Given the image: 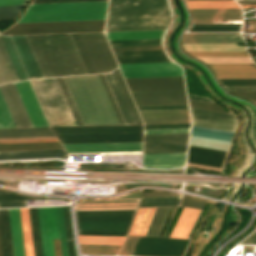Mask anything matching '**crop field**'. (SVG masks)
<instances>
[{"instance_id":"obj_1","label":"crop field","mask_w":256,"mask_h":256,"mask_svg":"<svg viewBox=\"0 0 256 256\" xmlns=\"http://www.w3.org/2000/svg\"><path fill=\"white\" fill-rule=\"evenodd\" d=\"M167 0H109L105 31L168 29Z\"/></svg>"},{"instance_id":"obj_2","label":"crop field","mask_w":256,"mask_h":256,"mask_svg":"<svg viewBox=\"0 0 256 256\" xmlns=\"http://www.w3.org/2000/svg\"><path fill=\"white\" fill-rule=\"evenodd\" d=\"M108 1L30 4L17 23L104 19Z\"/></svg>"},{"instance_id":"obj_3","label":"crop field","mask_w":256,"mask_h":256,"mask_svg":"<svg viewBox=\"0 0 256 256\" xmlns=\"http://www.w3.org/2000/svg\"><path fill=\"white\" fill-rule=\"evenodd\" d=\"M50 128L61 143L142 142V126Z\"/></svg>"},{"instance_id":"obj_4","label":"crop field","mask_w":256,"mask_h":256,"mask_svg":"<svg viewBox=\"0 0 256 256\" xmlns=\"http://www.w3.org/2000/svg\"><path fill=\"white\" fill-rule=\"evenodd\" d=\"M135 211L75 212L78 235L126 236Z\"/></svg>"},{"instance_id":"obj_5","label":"crop field","mask_w":256,"mask_h":256,"mask_svg":"<svg viewBox=\"0 0 256 256\" xmlns=\"http://www.w3.org/2000/svg\"><path fill=\"white\" fill-rule=\"evenodd\" d=\"M104 20L14 24L1 34L103 31Z\"/></svg>"},{"instance_id":"obj_6","label":"crop field","mask_w":256,"mask_h":256,"mask_svg":"<svg viewBox=\"0 0 256 256\" xmlns=\"http://www.w3.org/2000/svg\"><path fill=\"white\" fill-rule=\"evenodd\" d=\"M96 73L109 72L117 68L103 33L78 34Z\"/></svg>"},{"instance_id":"obj_7","label":"crop field","mask_w":256,"mask_h":256,"mask_svg":"<svg viewBox=\"0 0 256 256\" xmlns=\"http://www.w3.org/2000/svg\"><path fill=\"white\" fill-rule=\"evenodd\" d=\"M124 78L182 76L173 62L118 64Z\"/></svg>"},{"instance_id":"obj_8","label":"crop field","mask_w":256,"mask_h":256,"mask_svg":"<svg viewBox=\"0 0 256 256\" xmlns=\"http://www.w3.org/2000/svg\"><path fill=\"white\" fill-rule=\"evenodd\" d=\"M192 125L234 132L237 123L233 114L191 108Z\"/></svg>"},{"instance_id":"obj_9","label":"crop field","mask_w":256,"mask_h":256,"mask_svg":"<svg viewBox=\"0 0 256 256\" xmlns=\"http://www.w3.org/2000/svg\"><path fill=\"white\" fill-rule=\"evenodd\" d=\"M234 133L192 126L189 144L228 150Z\"/></svg>"},{"instance_id":"obj_10","label":"crop field","mask_w":256,"mask_h":256,"mask_svg":"<svg viewBox=\"0 0 256 256\" xmlns=\"http://www.w3.org/2000/svg\"><path fill=\"white\" fill-rule=\"evenodd\" d=\"M130 94L136 106L187 104L185 91Z\"/></svg>"},{"instance_id":"obj_11","label":"crop field","mask_w":256,"mask_h":256,"mask_svg":"<svg viewBox=\"0 0 256 256\" xmlns=\"http://www.w3.org/2000/svg\"><path fill=\"white\" fill-rule=\"evenodd\" d=\"M33 127L47 126L28 80L14 83Z\"/></svg>"},{"instance_id":"obj_12","label":"crop field","mask_w":256,"mask_h":256,"mask_svg":"<svg viewBox=\"0 0 256 256\" xmlns=\"http://www.w3.org/2000/svg\"><path fill=\"white\" fill-rule=\"evenodd\" d=\"M67 152L141 151L142 143L62 144Z\"/></svg>"},{"instance_id":"obj_13","label":"crop field","mask_w":256,"mask_h":256,"mask_svg":"<svg viewBox=\"0 0 256 256\" xmlns=\"http://www.w3.org/2000/svg\"><path fill=\"white\" fill-rule=\"evenodd\" d=\"M217 78H256L254 64H208Z\"/></svg>"},{"instance_id":"obj_14","label":"crop field","mask_w":256,"mask_h":256,"mask_svg":"<svg viewBox=\"0 0 256 256\" xmlns=\"http://www.w3.org/2000/svg\"><path fill=\"white\" fill-rule=\"evenodd\" d=\"M182 43H244L239 33H187Z\"/></svg>"},{"instance_id":"obj_15","label":"crop field","mask_w":256,"mask_h":256,"mask_svg":"<svg viewBox=\"0 0 256 256\" xmlns=\"http://www.w3.org/2000/svg\"><path fill=\"white\" fill-rule=\"evenodd\" d=\"M186 153L143 155V168L183 167Z\"/></svg>"},{"instance_id":"obj_16","label":"crop field","mask_w":256,"mask_h":256,"mask_svg":"<svg viewBox=\"0 0 256 256\" xmlns=\"http://www.w3.org/2000/svg\"><path fill=\"white\" fill-rule=\"evenodd\" d=\"M144 124L190 122L188 110L139 112Z\"/></svg>"},{"instance_id":"obj_17","label":"crop field","mask_w":256,"mask_h":256,"mask_svg":"<svg viewBox=\"0 0 256 256\" xmlns=\"http://www.w3.org/2000/svg\"><path fill=\"white\" fill-rule=\"evenodd\" d=\"M29 78L42 77L24 36H11Z\"/></svg>"},{"instance_id":"obj_18","label":"crop field","mask_w":256,"mask_h":256,"mask_svg":"<svg viewBox=\"0 0 256 256\" xmlns=\"http://www.w3.org/2000/svg\"><path fill=\"white\" fill-rule=\"evenodd\" d=\"M194 20H242L240 9H190Z\"/></svg>"},{"instance_id":"obj_19","label":"crop field","mask_w":256,"mask_h":256,"mask_svg":"<svg viewBox=\"0 0 256 256\" xmlns=\"http://www.w3.org/2000/svg\"><path fill=\"white\" fill-rule=\"evenodd\" d=\"M125 124H135L113 73L103 74Z\"/></svg>"},{"instance_id":"obj_20","label":"crop field","mask_w":256,"mask_h":256,"mask_svg":"<svg viewBox=\"0 0 256 256\" xmlns=\"http://www.w3.org/2000/svg\"><path fill=\"white\" fill-rule=\"evenodd\" d=\"M14 256H24L18 209H8Z\"/></svg>"},{"instance_id":"obj_21","label":"crop field","mask_w":256,"mask_h":256,"mask_svg":"<svg viewBox=\"0 0 256 256\" xmlns=\"http://www.w3.org/2000/svg\"><path fill=\"white\" fill-rule=\"evenodd\" d=\"M156 208H139L128 236H144Z\"/></svg>"},{"instance_id":"obj_22","label":"crop field","mask_w":256,"mask_h":256,"mask_svg":"<svg viewBox=\"0 0 256 256\" xmlns=\"http://www.w3.org/2000/svg\"><path fill=\"white\" fill-rule=\"evenodd\" d=\"M49 256H54L52 239H59L55 207L43 208Z\"/></svg>"},{"instance_id":"obj_23","label":"crop field","mask_w":256,"mask_h":256,"mask_svg":"<svg viewBox=\"0 0 256 256\" xmlns=\"http://www.w3.org/2000/svg\"><path fill=\"white\" fill-rule=\"evenodd\" d=\"M0 240L2 256H13L7 209L0 210Z\"/></svg>"},{"instance_id":"obj_24","label":"crop field","mask_w":256,"mask_h":256,"mask_svg":"<svg viewBox=\"0 0 256 256\" xmlns=\"http://www.w3.org/2000/svg\"><path fill=\"white\" fill-rule=\"evenodd\" d=\"M198 212L199 210L185 208L171 237L186 238Z\"/></svg>"},{"instance_id":"obj_25","label":"crop field","mask_w":256,"mask_h":256,"mask_svg":"<svg viewBox=\"0 0 256 256\" xmlns=\"http://www.w3.org/2000/svg\"><path fill=\"white\" fill-rule=\"evenodd\" d=\"M53 136L49 127L30 129H0V138Z\"/></svg>"},{"instance_id":"obj_26","label":"crop field","mask_w":256,"mask_h":256,"mask_svg":"<svg viewBox=\"0 0 256 256\" xmlns=\"http://www.w3.org/2000/svg\"><path fill=\"white\" fill-rule=\"evenodd\" d=\"M62 149L59 142L0 144V151Z\"/></svg>"},{"instance_id":"obj_27","label":"crop field","mask_w":256,"mask_h":256,"mask_svg":"<svg viewBox=\"0 0 256 256\" xmlns=\"http://www.w3.org/2000/svg\"><path fill=\"white\" fill-rule=\"evenodd\" d=\"M166 30L105 33L108 40L162 38Z\"/></svg>"},{"instance_id":"obj_28","label":"crop field","mask_w":256,"mask_h":256,"mask_svg":"<svg viewBox=\"0 0 256 256\" xmlns=\"http://www.w3.org/2000/svg\"><path fill=\"white\" fill-rule=\"evenodd\" d=\"M185 51H247L238 44H182Z\"/></svg>"},{"instance_id":"obj_29","label":"crop field","mask_w":256,"mask_h":256,"mask_svg":"<svg viewBox=\"0 0 256 256\" xmlns=\"http://www.w3.org/2000/svg\"><path fill=\"white\" fill-rule=\"evenodd\" d=\"M18 80L0 38V84Z\"/></svg>"},{"instance_id":"obj_30","label":"crop field","mask_w":256,"mask_h":256,"mask_svg":"<svg viewBox=\"0 0 256 256\" xmlns=\"http://www.w3.org/2000/svg\"><path fill=\"white\" fill-rule=\"evenodd\" d=\"M34 256H42L37 208H28Z\"/></svg>"},{"instance_id":"obj_31","label":"crop field","mask_w":256,"mask_h":256,"mask_svg":"<svg viewBox=\"0 0 256 256\" xmlns=\"http://www.w3.org/2000/svg\"><path fill=\"white\" fill-rule=\"evenodd\" d=\"M25 256H33L28 211L27 208L19 209Z\"/></svg>"},{"instance_id":"obj_32","label":"crop field","mask_w":256,"mask_h":256,"mask_svg":"<svg viewBox=\"0 0 256 256\" xmlns=\"http://www.w3.org/2000/svg\"><path fill=\"white\" fill-rule=\"evenodd\" d=\"M19 80L27 79L9 36H1Z\"/></svg>"},{"instance_id":"obj_33","label":"crop field","mask_w":256,"mask_h":256,"mask_svg":"<svg viewBox=\"0 0 256 256\" xmlns=\"http://www.w3.org/2000/svg\"><path fill=\"white\" fill-rule=\"evenodd\" d=\"M189 8H239L234 0L186 1Z\"/></svg>"},{"instance_id":"obj_34","label":"crop field","mask_w":256,"mask_h":256,"mask_svg":"<svg viewBox=\"0 0 256 256\" xmlns=\"http://www.w3.org/2000/svg\"><path fill=\"white\" fill-rule=\"evenodd\" d=\"M170 207L157 208L145 236L156 237Z\"/></svg>"},{"instance_id":"obj_35","label":"crop field","mask_w":256,"mask_h":256,"mask_svg":"<svg viewBox=\"0 0 256 256\" xmlns=\"http://www.w3.org/2000/svg\"><path fill=\"white\" fill-rule=\"evenodd\" d=\"M56 79H57V81L59 83V86H60V88H61V90L63 92V95H64V97L66 99V102H67V104H68V106L70 108V111H71V113L73 115V118H74L76 124L77 125H84L82 120H81V117H80V115L78 113V110H77V108L75 106V103H74V101L72 99V96H71V94L69 92V89H68V87L66 85V82H65L64 78L63 77H59V78H56Z\"/></svg>"},{"instance_id":"obj_36","label":"crop field","mask_w":256,"mask_h":256,"mask_svg":"<svg viewBox=\"0 0 256 256\" xmlns=\"http://www.w3.org/2000/svg\"><path fill=\"white\" fill-rule=\"evenodd\" d=\"M68 157L66 152L0 155V160Z\"/></svg>"},{"instance_id":"obj_37","label":"crop field","mask_w":256,"mask_h":256,"mask_svg":"<svg viewBox=\"0 0 256 256\" xmlns=\"http://www.w3.org/2000/svg\"><path fill=\"white\" fill-rule=\"evenodd\" d=\"M125 237L78 236L79 243L122 245Z\"/></svg>"},{"instance_id":"obj_38","label":"crop field","mask_w":256,"mask_h":256,"mask_svg":"<svg viewBox=\"0 0 256 256\" xmlns=\"http://www.w3.org/2000/svg\"><path fill=\"white\" fill-rule=\"evenodd\" d=\"M136 202V200L84 201V203ZM136 205V203L80 204V206ZM135 209V207L80 208V210Z\"/></svg>"},{"instance_id":"obj_39","label":"crop field","mask_w":256,"mask_h":256,"mask_svg":"<svg viewBox=\"0 0 256 256\" xmlns=\"http://www.w3.org/2000/svg\"><path fill=\"white\" fill-rule=\"evenodd\" d=\"M180 197L141 198L140 207L179 205Z\"/></svg>"},{"instance_id":"obj_40","label":"crop field","mask_w":256,"mask_h":256,"mask_svg":"<svg viewBox=\"0 0 256 256\" xmlns=\"http://www.w3.org/2000/svg\"><path fill=\"white\" fill-rule=\"evenodd\" d=\"M111 47L162 45V39L108 41Z\"/></svg>"},{"instance_id":"obj_41","label":"crop field","mask_w":256,"mask_h":256,"mask_svg":"<svg viewBox=\"0 0 256 256\" xmlns=\"http://www.w3.org/2000/svg\"><path fill=\"white\" fill-rule=\"evenodd\" d=\"M81 253L116 254L120 246L80 244Z\"/></svg>"},{"instance_id":"obj_42","label":"crop field","mask_w":256,"mask_h":256,"mask_svg":"<svg viewBox=\"0 0 256 256\" xmlns=\"http://www.w3.org/2000/svg\"><path fill=\"white\" fill-rule=\"evenodd\" d=\"M62 256H68L62 207H56Z\"/></svg>"},{"instance_id":"obj_43","label":"crop field","mask_w":256,"mask_h":256,"mask_svg":"<svg viewBox=\"0 0 256 256\" xmlns=\"http://www.w3.org/2000/svg\"><path fill=\"white\" fill-rule=\"evenodd\" d=\"M88 74L95 73L77 34H70Z\"/></svg>"},{"instance_id":"obj_44","label":"crop field","mask_w":256,"mask_h":256,"mask_svg":"<svg viewBox=\"0 0 256 256\" xmlns=\"http://www.w3.org/2000/svg\"><path fill=\"white\" fill-rule=\"evenodd\" d=\"M0 128H16L0 93Z\"/></svg>"},{"instance_id":"obj_45","label":"crop field","mask_w":256,"mask_h":256,"mask_svg":"<svg viewBox=\"0 0 256 256\" xmlns=\"http://www.w3.org/2000/svg\"><path fill=\"white\" fill-rule=\"evenodd\" d=\"M222 86H256V79H218Z\"/></svg>"},{"instance_id":"obj_46","label":"crop field","mask_w":256,"mask_h":256,"mask_svg":"<svg viewBox=\"0 0 256 256\" xmlns=\"http://www.w3.org/2000/svg\"><path fill=\"white\" fill-rule=\"evenodd\" d=\"M188 103H189V106H192V107H198V108H203V109H209V110H215V111L228 113L227 111L223 110L221 107H219L215 103L198 101V100H191V99H188Z\"/></svg>"},{"instance_id":"obj_47","label":"crop field","mask_w":256,"mask_h":256,"mask_svg":"<svg viewBox=\"0 0 256 256\" xmlns=\"http://www.w3.org/2000/svg\"><path fill=\"white\" fill-rule=\"evenodd\" d=\"M192 56H248L247 52H187Z\"/></svg>"},{"instance_id":"obj_48","label":"crop field","mask_w":256,"mask_h":256,"mask_svg":"<svg viewBox=\"0 0 256 256\" xmlns=\"http://www.w3.org/2000/svg\"><path fill=\"white\" fill-rule=\"evenodd\" d=\"M38 212H39L43 256H48L42 208H38Z\"/></svg>"},{"instance_id":"obj_49","label":"crop field","mask_w":256,"mask_h":256,"mask_svg":"<svg viewBox=\"0 0 256 256\" xmlns=\"http://www.w3.org/2000/svg\"><path fill=\"white\" fill-rule=\"evenodd\" d=\"M138 111L188 109L187 105L137 107Z\"/></svg>"},{"instance_id":"obj_50","label":"crop field","mask_w":256,"mask_h":256,"mask_svg":"<svg viewBox=\"0 0 256 256\" xmlns=\"http://www.w3.org/2000/svg\"><path fill=\"white\" fill-rule=\"evenodd\" d=\"M138 237H127L118 255H130Z\"/></svg>"},{"instance_id":"obj_51","label":"crop field","mask_w":256,"mask_h":256,"mask_svg":"<svg viewBox=\"0 0 256 256\" xmlns=\"http://www.w3.org/2000/svg\"><path fill=\"white\" fill-rule=\"evenodd\" d=\"M204 205H205V202L201 200H195L190 197L182 196L181 206L203 209Z\"/></svg>"},{"instance_id":"obj_52","label":"crop field","mask_w":256,"mask_h":256,"mask_svg":"<svg viewBox=\"0 0 256 256\" xmlns=\"http://www.w3.org/2000/svg\"><path fill=\"white\" fill-rule=\"evenodd\" d=\"M120 125L124 124L102 74H99Z\"/></svg>"},{"instance_id":"obj_53","label":"crop field","mask_w":256,"mask_h":256,"mask_svg":"<svg viewBox=\"0 0 256 256\" xmlns=\"http://www.w3.org/2000/svg\"><path fill=\"white\" fill-rule=\"evenodd\" d=\"M231 94L245 98L249 101H256V91H229Z\"/></svg>"},{"instance_id":"obj_54","label":"crop field","mask_w":256,"mask_h":256,"mask_svg":"<svg viewBox=\"0 0 256 256\" xmlns=\"http://www.w3.org/2000/svg\"><path fill=\"white\" fill-rule=\"evenodd\" d=\"M190 124L145 126L144 130L189 128Z\"/></svg>"},{"instance_id":"obj_55","label":"crop field","mask_w":256,"mask_h":256,"mask_svg":"<svg viewBox=\"0 0 256 256\" xmlns=\"http://www.w3.org/2000/svg\"><path fill=\"white\" fill-rule=\"evenodd\" d=\"M189 31H240V27L191 28Z\"/></svg>"},{"instance_id":"obj_56","label":"crop field","mask_w":256,"mask_h":256,"mask_svg":"<svg viewBox=\"0 0 256 256\" xmlns=\"http://www.w3.org/2000/svg\"><path fill=\"white\" fill-rule=\"evenodd\" d=\"M34 198H28L23 196H18L12 193H2L0 194V201H7V200H31Z\"/></svg>"},{"instance_id":"obj_57","label":"crop field","mask_w":256,"mask_h":256,"mask_svg":"<svg viewBox=\"0 0 256 256\" xmlns=\"http://www.w3.org/2000/svg\"><path fill=\"white\" fill-rule=\"evenodd\" d=\"M67 239L72 238L68 206L63 207Z\"/></svg>"},{"instance_id":"obj_58","label":"crop field","mask_w":256,"mask_h":256,"mask_svg":"<svg viewBox=\"0 0 256 256\" xmlns=\"http://www.w3.org/2000/svg\"><path fill=\"white\" fill-rule=\"evenodd\" d=\"M112 51L163 49L162 46L111 48Z\"/></svg>"},{"instance_id":"obj_59","label":"crop field","mask_w":256,"mask_h":256,"mask_svg":"<svg viewBox=\"0 0 256 256\" xmlns=\"http://www.w3.org/2000/svg\"><path fill=\"white\" fill-rule=\"evenodd\" d=\"M23 6H24V4L12 5V6H2V7H0V13L21 11Z\"/></svg>"},{"instance_id":"obj_60","label":"crop field","mask_w":256,"mask_h":256,"mask_svg":"<svg viewBox=\"0 0 256 256\" xmlns=\"http://www.w3.org/2000/svg\"><path fill=\"white\" fill-rule=\"evenodd\" d=\"M189 132V129L144 131V134Z\"/></svg>"},{"instance_id":"obj_61","label":"crop field","mask_w":256,"mask_h":256,"mask_svg":"<svg viewBox=\"0 0 256 256\" xmlns=\"http://www.w3.org/2000/svg\"><path fill=\"white\" fill-rule=\"evenodd\" d=\"M160 196H176V195L164 193V192H143V193H141V197H160Z\"/></svg>"},{"instance_id":"obj_62","label":"crop field","mask_w":256,"mask_h":256,"mask_svg":"<svg viewBox=\"0 0 256 256\" xmlns=\"http://www.w3.org/2000/svg\"><path fill=\"white\" fill-rule=\"evenodd\" d=\"M18 14H19V12L0 14V21L14 20V18H15Z\"/></svg>"},{"instance_id":"obj_63","label":"crop field","mask_w":256,"mask_h":256,"mask_svg":"<svg viewBox=\"0 0 256 256\" xmlns=\"http://www.w3.org/2000/svg\"><path fill=\"white\" fill-rule=\"evenodd\" d=\"M27 0H0V6L26 3Z\"/></svg>"},{"instance_id":"obj_64","label":"crop field","mask_w":256,"mask_h":256,"mask_svg":"<svg viewBox=\"0 0 256 256\" xmlns=\"http://www.w3.org/2000/svg\"><path fill=\"white\" fill-rule=\"evenodd\" d=\"M69 1H95V0H33L32 3H43V2H69Z\"/></svg>"},{"instance_id":"obj_65","label":"crop field","mask_w":256,"mask_h":256,"mask_svg":"<svg viewBox=\"0 0 256 256\" xmlns=\"http://www.w3.org/2000/svg\"><path fill=\"white\" fill-rule=\"evenodd\" d=\"M241 243H254L256 244V231L251 234L249 237H247L245 240H243Z\"/></svg>"},{"instance_id":"obj_66","label":"crop field","mask_w":256,"mask_h":256,"mask_svg":"<svg viewBox=\"0 0 256 256\" xmlns=\"http://www.w3.org/2000/svg\"><path fill=\"white\" fill-rule=\"evenodd\" d=\"M241 24L193 25V27L240 26Z\"/></svg>"},{"instance_id":"obj_67","label":"crop field","mask_w":256,"mask_h":256,"mask_svg":"<svg viewBox=\"0 0 256 256\" xmlns=\"http://www.w3.org/2000/svg\"><path fill=\"white\" fill-rule=\"evenodd\" d=\"M55 256H61L59 240H53Z\"/></svg>"},{"instance_id":"obj_68","label":"crop field","mask_w":256,"mask_h":256,"mask_svg":"<svg viewBox=\"0 0 256 256\" xmlns=\"http://www.w3.org/2000/svg\"><path fill=\"white\" fill-rule=\"evenodd\" d=\"M64 150H50V151H22V152H0V154H13V153H34V152H55Z\"/></svg>"},{"instance_id":"obj_69","label":"crop field","mask_w":256,"mask_h":256,"mask_svg":"<svg viewBox=\"0 0 256 256\" xmlns=\"http://www.w3.org/2000/svg\"><path fill=\"white\" fill-rule=\"evenodd\" d=\"M226 90H256V87H224Z\"/></svg>"},{"instance_id":"obj_70","label":"crop field","mask_w":256,"mask_h":256,"mask_svg":"<svg viewBox=\"0 0 256 256\" xmlns=\"http://www.w3.org/2000/svg\"><path fill=\"white\" fill-rule=\"evenodd\" d=\"M67 243H68L69 256H75V255H74V249H73V242H72V239L67 240Z\"/></svg>"},{"instance_id":"obj_71","label":"crop field","mask_w":256,"mask_h":256,"mask_svg":"<svg viewBox=\"0 0 256 256\" xmlns=\"http://www.w3.org/2000/svg\"><path fill=\"white\" fill-rule=\"evenodd\" d=\"M188 98H191V99H198V100H204V101H211L209 98H205V97H197V96H190V95H187ZM213 102V101H211Z\"/></svg>"},{"instance_id":"obj_72","label":"crop field","mask_w":256,"mask_h":256,"mask_svg":"<svg viewBox=\"0 0 256 256\" xmlns=\"http://www.w3.org/2000/svg\"><path fill=\"white\" fill-rule=\"evenodd\" d=\"M45 141H57V140H43V141H17V142H0V143H18V142H45Z\"/></svg>"},{"instance_id":"obj_73","label":"crop field","mask_w":256,"mask_h":256,"mask_svg":"<svg viewBox=\"0 0 256 256\" xmlns=\"http://www.w3.org/2000/svg\"><path fill=\"white\" fill-rule=\"evenodd\" d=\"M245 7H256V5H251V6H245Z\"/></svg>"},{"instance_id":"obj_74","label":"crop field","mask_w":256,"mask_h":256,"mask_svg":"<svg viewBox=\"0 0 256 256\" xmlns=\"http://www.w3.org/2000/svg\"><path fill=\"white\" fill-rule=\"evenodd\" d=\"M1 192H5V191H3V190H0V193H1Z\"/></svg>"},{"instance_id":"obj_75","label":"crop field","mask_w":256,"mask_h":256,"mask_svg":"<svg viewBox=\"0 0 256 256\" xmlns=\"http://www.w3.org/2000/svg\"><path fill=\"white\" fill-rule=\"evenodd\" d=\"M0 256H1V248H0Z\"/></svg>"},{"instance_id":"obj_76","label":"crop field","mask_w":256,"mask_h":256,"mask_svg":"<svg viewBox=\"0 0 256 256\" xmlns=\"http://www.w3.org/2000/svg\"><path fill=\"white\" fill-rule=\"evenodd\" d=\"M256 105V102H253Z\"/></svg>"}]
</instances>
